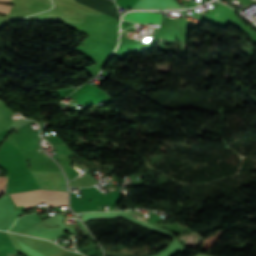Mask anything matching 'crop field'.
I'll return each instance as SVG.
<instances>
[{"instance_id": "crop-field-3", "label": "crop field", "mask_w": 256, "mask_h": 256, "mask_svg": "<svg viewBox=\"0 0 256 256\" xmlns=\"http://www.w3.org/2000/svg\"><path fill=\"white\" fill-rule=\"evenodd\" d=\"M7 184V176L0 177V189H5ZM5 193V190H0V196Z\"/></svg>"}, {"instance_id": "crop-field-5", "label": "crop field", "mask_w": 256, "mask_h": 256, "mask_svg": "<svg viewBox=\"0 0 256 256\" xmlns=\"http://www.w3.org/2000/svg\"><path fill=\"white\" fill-rule=\"evenodd\" d=\"M9 0H0V2H4V3H6V2H8Z\"/></svg>"}, {"instance_id": "crop-field-2", "label": "crop field", "mask_w": 256, "mask_h": 256, "mask_svg": "<svg viewBox=\"0 0 256 256\" xmlns=\"http://www.w3.org/2000/svg\"><path fill=\"white\" fill-rule=\"evenodd\" d=\"M162 15L153 12H131L127 13L123 19L135 23H155L160 24Z\"/></svg>"}, {"instance_id": "crop-field-4", "label": "crop field", "mask_w": 256, "mask_h": 256, "mask_svg": "<svg viewBox=\"0 0 256 256\" xmlns=\"http://www.w3.org/2000/svg\"><path fill=\"white\" fill-rule=\"evenodd\" d=\"M9 7H10V6H8V5H1V4H0V12L7 14V11H8V9H9Z\"/></svg>"}, {"instance_id": "crop-field-1", "label": "crop field", "mask_w": 256, "mask_h": 256, "mask_svg": "<svg viewBox=\"0 0 256 256\" xmlns=\"http://www.w3.org/2000/svg\"><path fill=\"white\" fill-rule=\"evenodd\" d=\"M17 206L29 208L42 201L49 206L67 205V192L36 190L10 194Z\"/></svg>"}]
</instances>
